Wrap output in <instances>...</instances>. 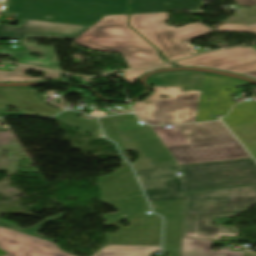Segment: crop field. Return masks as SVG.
Returning a JSON list of instances; mask_svg holds the SVG:
<instances>
[{
  "label": "crop field",
  "mask_w": 256,
  "mask_h": 256,
  "mask_svg": "<svg viewBox=\"0 0 256 256\" xmlns=\"http://www.w3.org/2000/svg\"><path fill=\"white\" fill-rule=\"evenodd\" d=\"M178 166L136 171L149 201L183 199Z\"/></svg>",
  "instance_id": "12"
},
{
  "label": "crop field",
  "mask_w": 256,
  "mask_h": 256,
  "mask_svg": "<svg viewBox=\"0 0 256 256\" xmlns=\"http://www.w3.org/2000/svg\"><path fill=\"white\" fill-rule=\"evenodd\" d=\"M175 63L180 66L213 68L243 74L256 70V50L251 47H238L196 56Z\"/></svg>",
  "instance_id": "11"
},
{
  "label": "crop field",
  "mask_w": 256,
  "mask_h": 256,
  "mask_svg": "<svg viewBox=\"0 0 256 256\" xmlns=\"http://www.w3.org/2000/svg\"><path fill=\"white\" fill-rule=\"evenodd\" d=\"M213 31L222 32H244V33H255L256 34V24L250 26L244 25H232V24H222L217 29Z\"/></svg>",
  "instance_id": "25"
},
{
  "label": "crop field",
  "mask_w": 256,
  "mask_h": 256,
  "mask_svg": "<svg viewBox=\"0 0 256 256\" xmlns=\"http://www.w3.org/2000/svg\"><path fill=\"white\" fill-rule=\"evenodd\" d=\"M89 27L69 23L49 22L40 20L25 19L20 28L0 24V39H23L19 42L24 50L7 51L0 49V54L9 55L12 59L21 63L61 70L58 66V59L53 47L37 46L26 42L25 38H67L75 39ZM86 32V31H85ZM31 53H40L44 59H36L30 56ZM53 59H50V57ZM54 64L53 66H50Z\"/></svg>",
  "instance_id": "7"
},
{
  "label": "crop field",
  "mask_w": 256,
  "mask_h": 256,
  "mask_svg": "<svg viewBox=\"0 0 256 256\" xmlns=\"http://www.w3.org/2000/svg\"><path fill=\"white\" fill-rule=\"evenodd\" d=\"M129 0H3L17 17L93 25L107 15L128 14ZM51 15L53 19H45Z\"/></svg>",
  "instance_id": "4"
},
{
  "label": "crop field",
  "mask_w": 256,
  "mask_h": 256,
  "mask_svg": "<svg viewBox=\"0 0 256 256\" xmlns=\"http://www.w3.org/2000/svg\"><path fill=\"white\" fill-rule=\"evenodd\" d=\"M236 2L239 5H245V6H255L256 5V0H236ZM204 3H205V0H203L202 9L204 7ZM189 12L193 15L203 14V12L201 10H193V11H189Z\"/></svg>",
  "instance_id": "27"
},
{
  "label": "crop field",
  "mask_w": 256,
  "mask_h": 256,
  "mask_svg": "<svg viewBox=\"0 0 256 256\" xmlns=\"http://www.w3.org/2000/svg\"><path fill=\"white\" fill-rule=\"evenodd\" d=\"M100 121L102 123V126H103L106 134H107V137L117 141L122 152L123 153L126 152L125 146H124V144L114 126L112 118L111 117L100 118Z\"/></svg>",
  "instance_id": "23"
},
{
  "label": "crop field",
  "mask_w": 256,
  "mask_h": 256,
  "mask_svg": "<svg viewBox=\"0 0 256 256\" xmlns=\"http://www.w3.org/2000/svg\"><path fill=\"white\" fill-rule=\"evenodd\" d=\"M27 69L39 71V72L46 71V70L17 65L14 72L0 71V82L36 81L44 78L59 79L61 74L58 72L46 71L44 74V78H30L29 76L24 75V72Z\"/></svg>",
  "instance_id": "22"
},
{
  "label": "crop field",
  "mask_w": 256,
  "mask_h": 256,
  "mask_svg": "<svg viewBox=\"0 0 256 256\" xmlns=\"http://www.w3.org/2000/svg\"><path fill=\"white\" fill-rule=\"evenodd\" d=\"M243 75L256 80V71L250 72V73H247V74H243Z\"/></svg>",
  "instance_id": "28"
},
{
  "label": "crop field",
  "mask_w": 256,
  "mask_h": 256,
  "mask_svg": "<svg viewBox=\"0 0 256 256\" xmlns=\"http://www.w3.org/2000/svg\"><path fill=\"white\" fill-rule=\"evenodd\" d=\"M182 236L219 239L237 236V228L212 226L211 218L236 216L256 205V186L184 193Z\"/></svg>",
  "instance_id": "3"
},
{
  "label": "crop field",
  "mask_w": 256,
  "mask_h": 256,
  "mask_svg": "<svg viewBox=\"0 0 256 256\" xmlns=\"http://www.w3.org/2000/svg\"><path fill=\"white\" fill-rule=\"evenodd\" d=\"M161 246L106 245L93 256H151Z\"/></svg>",
  "instance_id": "19"
},
{
  "label": "crop field",
  "mask_w": 256,
  "mask_h": 256,
  "mask_svg": "<svg viewBox=\"0 0 256 256\" xmlns=\"http://www.w3.org/2000/svg\"><path fill=\"white\" fill-rule=\"evenodd\" d=\"M168 12L131 15L130 25L157 46L171 61L190 56L184 42L203 36L212 29L202 23H193L176 29L165 25Z\"/></svg>",
  "instance_id": "9"
},
{
  "label": "crop field",
  "mask_w": 256,
  "mask_h": 256,
  "mask_svg": "<svg viewBox=\"0 0 256 256\" xmlns=\"http://www.w3.org/2000/svg\"><path fill=\"white\" fill-rule=\"evenodd\" d=\"M112 118L126 148L140 154L139 159L133 163L135 170L175 165L150 127L139 124L135 115Z\"/></svg>",
  "instance_id": "10"
},
{
  "label": "crop field",
  "mask_w": 256,
  "mask_h": 256,
  "mask_svg": "<svg viewBox=\"0 0 256 256\" xmlns=\"http://www.w3.org/2000/svg\"><path fill=\"white\" fill-rule=\"evenodd\" d=\"M154 212L166 217L164 245H179L182 200L149 202Z\"/></svg>",
  "instance_id": "16"
},
{
  "label": "crop field",
  "mask_w": 256,
  "mask_h": 256,
  "mask_svg": "<svg viewBox=\"0 0 256 256\" xmlns=\"http://www.w3.org/2000/svg\"><path fill=\"white\" fill-rule=\"evenodd\" d=\"M103 202L118 209V212L104 214L106 225L120 228L117 233H106L108 244L161 245L162 217L145 214L150 208L143 194ZM120 220H130V226H120Z\"/></svg>",
  "instance_id": "6"
},
{
  "label": "crop field",
  "mask_w": 256,
  "mask_h": 256,
  "mask_svg": "<svg viewBox=\"0 0 256 256\" xmlns=\"http://www.w3.org/2000/svg\"><path fill=\"white\" fill-rule=\"evenodd\" d=\"M204 74L198 71L157 73L147 79L154 86L152 96L132 105L140 118L150 125L195 121ZM182 86H191L193 91L182 92ZM159 95L171 98H159Z\"/></svg>",
  "instance_id": "2"
},
{
  "label": "crop field",
  "mask_w": 256,
  "mask_h": 256,
  "mask_svg": "<svg viewBox=\"0 0 256 256\" xmlns=\"http://www.w3.org/2000/svg\"><path fill=\"white\" fill-rule=\"evenodd\" d=\"M184 192L256 185L252 159L179 166Z\"/></svg>",
  "instance_id": "8"
},
{
  "label": "crop field",
  "mask_w": 256,
  "mask_h": 256,
  "mask_svg": "<svg viewBox=\"0 0 256 256\" xmlns=\"http://www.w3.org/2000/svg\"><path fill=\"white\" fill-rule=\"evenodd\" d=\"M201 3L202 0H133L131 14L200 9Z\"/></svg>",
  "instance_id": "17"
},
{
  "label": "crop field",
  "mask_w": 256,
  "mask_h": 256,
  "mask_svg": "<svg viewBox=\"0 0 256 256\" xmlns=\"http://www.w3.org/2000/svg\"><path fill=\"white\" fill-rule=\"evenodd\" d=\"M215 244L229 245V243H222L214 240L183 237L182 256H256L255 253H240L224 249L214 252L210 250V248Z\"/></svg>",
  "instance_id": "18"
},
{
  "label": "crop field",
  "mask_w": 256,
  "mask_h": 256,
  "mask_svg": "<svg viewBox=\"0 0 256 256\" xmlns=\"http://www.w3.org/2000/svg\"><path fill=\"white\" fill-rule=\"evenodd\" d=\"M153 130L178 165L251 158L222 122L175 125Z\"/></svg>",
  "instance_id": "1"
},
{
  "label": "crop field",
  "mask_w": 256,
  "mask_h": 256,
  "mask_svg": "<svg viewBox=\"0 0 256 256\" xmlns=\"http://www.w3.org/2000/svg\"><path fill=\"white\" fill-rule=\"evenodd\" d=\"M34 95L35 93L30 90L29 86L0 87L1 115L9 114L2 111L7 105L19 108L22 113L44 117H51L59 112V110L46 106L42 101L36 99Z\"/></svg>",
  "instance_id": "14"
},
{
  "label": "crop field",
  "mask_w": 256,
  "mask_h": 256,
  "mask_svg": "<svg viewBox=\"0 0 256 256\" xmlns=\"http://www.w3.org/2000/svg\"><path fill=\"white\" fill-rule=\"evenodd\" d=\"M80 113L78 112H64L57 116L55 119L71 124L73 127H77L83 132L93 133L95 138H105L101 128L95 118V121H89L86 119L77 118Z\"/></svg>",
  "instance_id": "20"
},
{
  "label": "crop field",
  "mask_w": 256,
  "mask_h": 256,
  "mask_svg": "<svg viewBox=\"0 0 256 256\" xmlns=\"http://www.w3.org/2000/svg\"><path fill=\"white\" fill-rule=\"evenodd\" d=\"M122 168L109 176L99 177L102 198H113L142 193L127 162L120 157Z\"/></svg>",
  "instance_id": "15"
},
{
  "label": "crop field",
  "mask_w": 256,
  "mask_h": 256,
  "mask_svg": "<svg viewBox=\"0 0 256 256\" xmlns=\"http://www.w3.org/2000/svg\"><path fill=\"white\" fill-rule=\"evenodd\" d=\"M0 248L5 256H72L54 243L0 227Z\"/></svg>",
  "instance_id": "13"
},
{
  "label": "crop field",
  "mask_w": 256,
  "mask_h": 256,
  "mask_svg": "<svg viewBox=\"0 0 256 256\" xmlns=\"http://www.w3.org/2000/svg\"><path fill=\"white\" fill-rule=\"evenodd\" d=\"M127 17L107 16L76 38L75 43L99 51H122L130 68L163 63L157 50L127 26Z\"/></svg>",
  "instance_id": "5"
},
{
  "label": "crop field",
  "mask_w": 256,
  "mask_h": 256,
  "mask_svg": "<svg viewBox=\"0 0 256 256\" xmlns=\"http://www.w3.org/2000/svg\"><path fill=\"white\" fill-rule=\"evenodd\" d=\"M165 67H175L173 65L167 64V65H163L160 67H156V68H165ZM155 69V68H153ZM152 69L149 70H139V71H125V75H126V81L130 82L132 85H134V83L137 81V79L144 73L150 71Z\"/></svg>",
  "instance_id": "26"
},
{
  "label": "crop field",
  "mask_w": 256,
  "mask_h": 256,
  "mask_svg": "<svg viewBox=\"0 0 256 256\" xmlns=\"http://www.w3.org/2000/svg\"><path fill=\"white\" fill-rule=\"evenodd\" d=\"M62 217H63V213H61V214H59V215H57V216H55V217H52V218H50V219H48V220H46V221H44V222H41V223L35 225L34 227L28 229V230L20 229V228H18L17 226H15V225H13V224H10V223H7V222L2 221V220H0V225L10 226V227H13V228L17 229V230L20 231V232H23V233H26V234H30V235H33V236H36V237H39V238L46 239V240H49V241L54 242V241H56L55 239H51V238H48V237L40 236V235H37V234H35V233H36L37 231H39L40 228H41L42 226H44L46 223H48V222H50V221H52V220H54V219H62Z\"/></svg>",
  "instance_id": "24"
},
{
  "label": "crop field",
  "mask_w": 256,
  "mask_h": 256,
  "mask_svg": "<svg viewBox=\"0 0 256 256\" xmlns=\"http://www.w3.org/2000/svg\"><path fill=\"white\" fill-rule=\"evenodd\" d=\"M229 128L256 159V120Z\"/></svg>",
  "instance_id": "21"
}]
</instances>
